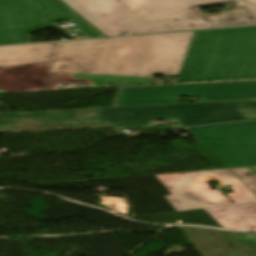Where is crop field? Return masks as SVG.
Masks as SVG:
<instances>
[{
	"instance_id": "crop-field-2",
	"label": "crop field",
	"mask_w": 256,
	"mask_h": 256,
	"mask_svg": "<svg viewBox=\"0 0 256 256\" xmlns=\"http://www.w3.org/2000/svg\"><path fill=\"white\" fill-rule=\"evenodd\" d=\"M108 36L256 24L245 6L198 15L191 8L238 1L256 12V0H63Z\"/></svg>"
},
{
	"instance_id": "crop-field-10",
	"label": "crop field",
	"mask_w": 256,
	"mask_h": 256,
	"mask_svg": "<svg viewBox=\"0 0 256 256\" xmlns=\"http://www.w3.org/2000/svg\"><path fill=\"white\" fill-rule=\"evenodd\" d=\"M57 43L0 46V65L53 61Z\"/></svg>"
},
{
	"instance_id": "crop-field-5",
	"label": "crop field",
	"mask_w": 256,
	"mask_h": 256,
	"mask_svg": "<svg viewBox=\"0 0 256 256\" xmlns=\"http://www.w3.org/2000/svg\"><path fill=\"white\" fill-rule=\"evenodd\" d=\"M64 18L87 38L104 37L59 0H0V44L30 43L29 33Z\"/></svg>"
},
{
	"instance_id": "crop-field-11",
	"label": "crop field",
	"mask_w": 256,
	"mask_h": 256,
	"mask_svg": "<svg viewBox=\"0 0 256 256\" xmlns=\"http://www.w3.org/2000/svg\"><path fill=\"white\" fill-rule=\"evenodd\" d=\"M206 210L224 228L256 231V204Z\"/></svg>"
},
{
	"instance_id": "crop-field-7",
	"label": "crop field",
	"mask_w": 256,
	"mask_h": 256,
	"mask_svg": "<svg viewBox=\"0 0 256 256\" xmlns=\"http://www.w3.org/2000/svg\"><path fill=\"white\" fill-rule=\"evenodd\" d=\"M255 90L256 81L121 88L113 107L171 104L177 96H200L199 101L254 99Z\"/></svg>"
},
{
	"instance_id": "crop-field-16",
	"label": "crop field",
	"mask_w": 256,
	"mask_h": 256,
	"mask_svg": "<svg viewBox=\"0 0 256 256\" xmlns=\"http://www.w3.org/2000/svg\"><path fill=\"white\" fill-rule=\"evenodd\" d=\"M254 98H256V92H255Z\"/></svg>"
},
{
	"instance_id": "crop-field-1",
	"label": "crop field",
	"mask_w": 256,
	"mask_h": 256,
	"mask_svg": "<svg viewBox=\"0 0 256 256\" xmlns=\"http://www.w3.org/2000/svg\"><path fill=\"white\" fill-rule=\"evenodd\" d=\"M194 32L59 42L51 72L74 73L94 86L151 83L178 76Z\"/></svg>"
},
{
	"instance_id": "crop-field-4",
	"label": "crop field",
	"mask_w": 256,
	"mask_h": 256,
	"mask_svg": "<svg viewBox=\"0 0 256 256\" xmlns=\"http://www.w3.org/2000/svg\"><path fill=\"white\" fill-rule=\"evenodd\" d=\"M97 110L103 127L148 125L151 120L161 119H171L173 123L181 127L256 119V101L135 106Z\"/></svg>"
},
{
	"instance_id": "crop-field-6",
	"label": "crop field",
	"mask_w": 256,
	"mask_h": 256,
	"mask_svg": "<svg viewBox=\"0 0 256 256\" xmlns=\"http://www.w3.org/2000/svg\"><path fill=\"white\" fill-rule=\"evenodd\" d=\"M156 176L172 194L165 198L177 210L231 204L220 191H211L207 181L212 180L231 186L234 193L226 195L234 204L256 202V196L229 169Z\"/></svg>"
},
{
	"instance_id": "crop-field-14",
	"label": "crop field",
	"mask_w": 256,
	"mask_h": 256,
	"mask_svg": "<svg viewBox=\"0 0 256 256\" xmlns=\"http://www.w3.org/2000/svg\"><path fill=\"white\" fill-rule=\"evenodd\" d=\"M256 194V166L231 169Z\"/></svg>"
},
{
	"instance_id": "crop-field-12",
	"label": "crop field",
	"mask_w": 256,
	"mask_h": 256,
	"mask_svg": "<svg viewBox=\"0 0 256 256\" xmlns=\"http://www.w3.org/2000/svg\"><path fill=\"white\" fill-rule=\"evenodd\" d=\"M75 120L73 110L0 114V124H26Z\"/></svg>"
},
{
	"instance_id": "crop-field-8",
	"label": "crop field",
	"mask_w": 256,
	"mask_h": 256,
	"mask_svg": "<svg viewBox=\"0 0 256 256\" xmlns=\"http://www.w3.org/2000/svg\"><path fill=\"white\" fill-rule=\"evenodd\" d=\"M227 167L256 165V122L187 128Z\"/></svg>"
},
{
	"instance_id": "crop-field-9",
	"label": "crop field",
	"mask_w": 256,
	"mask_h": 256,
	"mask_svg": "<svg viewBox=\"0 0 256 256\" xmlns=\"http://www.w3.org/2000/svg\"><path fill=\"white\" fill-rule=\"evenodd\" d=\"M53 62L0 66V89L6 92L55 89V82L94 83L73 74L50 73Z\"/></svg>"
},
{
	"instance_id": "crop-field-13",
	"label": "crop field",
	"mask_w": 256,
	"mask_h": 256,
	"mask_svg": "<svg viewBox=\"0 0 256 256\" xmlns=\"http://www.w3.org/2000/svg\"><path fill=\"white\" fill-rule=\"evenodd\" d=\"M102 127L101 122L93 121H80V123L70 122H57V123H40V124H27V125H0V133L6 132H24V131H41V130H59V129H76V128H94Z\"/></svg>"
},
{
	"instance_id": "crop-field-15",
	"label": "crop field",
	"mask_w": 256,
	"mask_h": 256,
	"mask_svg": "<svg viewBox=\"0 0 256 256\" xmlns=\"http://www.w3.org/2000/svg\"><path fill=\"white\" fill-rule=\"evenodd\" d=\"M76 120L100 119L96 109L74 110Z\"/></svg>"
},
{
	"instance_id": "crop-field-3",
	"label": "crop field",
	"mask_w": 256,
	"mask_h": 256,
	"mask_svg": "<svg viewBox=\"0 0 256 256\" xmlns=\"http://www.w3.org/2000/svg\"><path fill=\"white\" fill-rule=\"evenodd\" d=\"M256 78V27L195 32L178 82Z\"/></svg>"
}]
</instances>
